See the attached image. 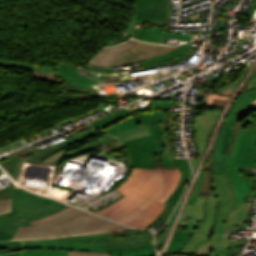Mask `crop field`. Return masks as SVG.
<instances>
[{
    "label": "crop field",
    "instance_id": "obj_1",
    "mask_svg": "<svg viewBox=\"0 0 256 256\" xmlns=\"http://www.w3.org/2000/svg\"><path fill=\"white\" fill-rule=\"evenodd\" d=\"M128 229L104 219L73 209L47 222L18 229L13 240H37Z\"/></svg>",
    "mask_w": 256,
    "mask_h": 256
},
{
    "label": "crop field",
    "instance_id": "obj_2",
    "mask_svg": "<svg viewBox=\"0 0 256 256\" xmlns=\"http://www.w3.org/2000/svg\"><path fill=\"white\" fill-rule=\"evenodd\" d=\"M165 175V169L148 170L134 168L124 184L115 189L126 197L114 202L97 214L115 221L125 217L155 193Z\"/></svg>",
    "mask_w": 256,
    "mask_h": 256
},
{
    "label": "crop field",
    "instance_id": "obj_3",
    "mask_svg": "<svg viewBox=\"0 0 256 256\" xmlns=\"http://www.w3.org/2000/svg\"><path fill=\"white\" fill-rule=\"evenodd\" d=\"M237 135L232 154L224 160L221 166L235 201L232 207L234 210H237L240 203L244 202L253 183L240 178L239 166L256 168V128L251 131L238 130Z\"/></svg>",
    "mask_w": 256,
    "mask_h": 256
},
{
    "label": "crop field",
    "instance_id": "obj_4",
    "mask_svg": "<svg viewBox=\"0 0 256 256\" xmlns=\"http://www.w3.org/2000/svg\"><path fill=\"white\" fill-rule=\"evenodd\" d=\"M179 46H162L130 40L120 45L102 49L90 62L92 66H118L170 52Z\"/></svg>",
    "mask_w": 256,
    "mask_h": 256
},
{
    "label": "crop field",
    "instance_id": "obj_5",
    "mask_svg": "<svg viewBox=\"0 0 256 256\" xmlns=\"http://www.w3.org/2000/svg\"><path fill=\"white\" fill-rule=\"evenodd\" d=\"M60 202L31 194L23 189L13 190L11 214L0 215V231L15 234L18 228L29 226L21 217L31 215L58 205Z\"/></svg>",
    "mask_w": 256,
    "mask_h": 256
},
{
    "label": "crop field",
    "instance_id": "obj_6",
    "mask_svg": "<svg viewBox=\"0 0 256 256\" xmlns=\"http://www.w3.org/2000/svg\"><path fill=\"white\" fill-rule=\"evenodd\" d=\"M23 249L83 250L109 253L108 233L57 238L38 241H24Z\"/></svg>",
    "mask_w": 256,
    "mask_h": 256
},
{
    "label": "crop field",
    "instance_id": "obj_7",
    "mask_svg": "<svg viewBox=\"0 0 256 256\" xmlns=\"http://www.w3.org/2000/svg\"><path fill=\"white\" fill-rule=\"evenodd\" d=\"M148 126L152 136L123 144L124 146L127 145L129 150L131 167L154 169V153L164 152L160 124Z\"/></svg>",
    "mask_w": 256,
    "mask_h": 256
},
{
    "label": "crop field",
    "instance_id": "obj_8",
    "mask_svg": "<svg viewBox=\"0 0 256 256\" xmlns=\"http://www.w3.org/2000/svg\"><path fill=\"white\" fill-rule=\"evenodd\" d=\"M175 176V170H167V175L157 192L142 206L135 209L127 217L119 220L118 222L144 228L158 215H160L165 207L164 204L157 203V201L166 193L173 183Z\"/></svg>",
    "mask_w": 256,
    "mask_h": 256
},
{
    "label": "crop field",
    "instance_id": "obj_9",
    "mask_svg": "<svg viewBox=\"0 0 256 256\" xmlns=\"http://www.w3.org/2000/svg\"><path fill=\"white\" fill-rule=\"evenodd\" d=\"M216 204L217 201L213 195L207 197L203 207L204 220L200 223L199 228L192 234L189 241L186 242L179 253L209 255V236L212 230Z\"/></svg>",
    "mask_w": 256,
    "mask_h": 256
},
{
    "label": "crop field",
    "instance_id": "obj_10",
    "mask_svg": "<svg viewBox=\"0 0 256 256\" xmlns=\"http://www.w3.org/2000/svg\"><path fill=\"white\" fill-rule=\"evenodd\" d=\"M169 105V100H153L151 107L152 113L142 114L131 119H127L106 131L117 136L121 133H125L127 131L142 127L147 124L168 121L165 113H159V110H164L163 107Z\"/></svg>",
    "mask_w": 256,
    "mask_h": 256
},
{
    "label": "crop field",
    "instance_id": "obj_11",
    "mask_svg": "<svg viewBox=\"0 0 256 256\" xmlns=\"http://www.w3.org/2000/svg\"><path fill=\"white\" fill-rule=\"evenodd\" d=\"M136 3L134 20L149 21L154 19L166 24L168 0H132Z\"/></svg>",
    "mask_w": 256,
    "mask_h": 256
},
{
    "label": "crop field",
    "instance_id": "obj_12",
    "mask_svg": "<svg viewBox=\"0 0 256 256\" xmlns=\"http://www.w3.org/2000/svg\"><path fill=\"white\" fill-rule=\"evenodd\" d=\"M233 107L234 105L232 106L231 111ZM231 111L228 117L225 119L224 125L216 142L213 162V174H223L220 168L221 163L231 153L233 149V146L228 147V142H231L234 139V137L230 134L233 133L232 125L236 123V121L228 119Z\"/></svg>",
    "mask_w": 256,
    "mask_h": 256
},
{
    "label": "crop field",
    "instance_id": "obj_13",
    "mask_svg": "<svg viewBox=\"0 0 256 256\" xmlns=\"http://www.w3.org/2000/svg\"><path fill=\"white\" fill-rule=\"evenodd\" d=\"M221 111H208L207 117L197 116L196 122V137L199 147L200 158L202 156L203 150L205 149L206 143L205 139L213 124H216ZM207 140V139H206ZM200 159L191 160L193 171L195 172Z\"/></svg>",
    "mask_w": 256,
    "mask_h": 256
},
{
    "label": "crop field",
    "instance_id": "obj_14",
    "mask_svg": "<svg viewBox=\"0 0 256 256\" xmlns=\"http://www.w3.org/2000/svg\"><path fill=\"white\" fill-rule=\"evenodd\" d=\"M204 179V167L200 173V176L196 182L194 191L187 202V205L183 211L184 216L192 217L195 221L203 220L202 206L204 204V198H198Z\"/></svg>",
    "mask_w": 256,
    "mask_h": 256
},
{
    "label": "crop field",
    "instance_id": "obj_15",
    "mask_svg": "<svg viewBox=\"0 0 256 256\" xmlns=\"http://www.w3.org/2000/svg\"><path fill=\"white\" fill-rule=\"evenodd\" d=\"M162 37L191 41V35L172 34L143 28L140 29L134 38L140 41L159 43Z\"/></svg>",
    "mask_w": 256,
    "mask_h": 256
},
{
    "label": "crop field",
    "instance_id": "obj_16",
    "mask_svg": "<svg viewBox=\"0 0 256 256\" xmlns=\"http://www.w3.org/2000/svg\"><path fill=\"white\" fill-rule=\"evenodd\" d=\"M151 107V102L148 106H145V107H138L134 110H131V111H126L125 108L119 110V111H116L114 113H111L109 115H106L102 118H99V119H96V120H92L91 122H89L93 127L97 128V129H101L127 115H130V114H133L135 112H139V111H142V110H148L150 109Z\"/></svg>",
    "mask_w": 256,
    "mask_h": 256
},
{
    "label": "crop field",
    "instance_id": "obj_17",
    "mask_svg": "<svg viewBox=\"0 0 256 256\" xmlns=\"http://www.w3.org/2000/svg\"><path fill=\"white\" fill-rule=\"evenodd\" d=\"M100 132H102V131H97V132L88 134V135H86V136H84L82 138H74V139H72L70 141H66V142L60 143V144H58V145H56V146H54V147H52V148H50V149H48L46 151H44V152L34 156V157H31V158H29L27 160L31 161V162L40 163L41 161L45 160L46 158H48L52 154H54V153H56V152H58V151H60V150H62L64 148H66V147H68V146H70L72 144H75V143H77V142H79V141H81V140H83V139H85L87 137H90V136H93L95 134H98Z\"/></svg>",
    "mask_w": 256,
    "mask_h": 256
},
{
    "label": "crop field",
    "instance_id": "obj_18",
    "mask_svg": "<svg viewBox=\"0 0 256 256\" xmlns=\"http://www.w3.org/2000/svg\"><path fill=\"white\" fill-rule=\"evenodd\" d=\"M111 256H153L154 252L151 247H131V248H110Z\"/></svg>",
    "mask_w": 256,
    "mask_h": 256
},
{
    "label": "crop field",
    "instance_id": "obj_19",
    "mask_svg": "<svg viewBox=\"0 0 256 256\" xmlns=\"http://www.w3.org/2000/svg\"><path fill=\"white\" fill-rule=\"evenodd\" d=\"M192 233L176 229L166 252L178 253Z\"/></svg>",
    "mask_w": 256,
    "mask_h": 256
},
{
    "label": "crop field",
    "instance_id": "obj_20",
    "mask_svg": "<svg viewBox=\"0 0 256 256\" xmlns=\"http://www.w3.org/2000/svg\"><path fill=\"white\" fill-rule=\"evenodd\" d=\"M252 103H256V90L242 93V95L235 101V104L242 106L250 112L254 110V106L251 105Z\"/></svg>",
    "mask_w": 256,
    "mask_h": 256
},
{
    "label": "crop field",
    "instance_id": "obj_21",
    "mask_svg": "<svg viewBox=\"0 0 256 256\" xmlns=\"http://www.w3.org/2000/svg\"><path fill=\"white\" fill-rule=\"evenodd\" d=\"M146 136H150L148 126L139 128V129L131 131V132H127L125 134L118 136L117 138H119L122 141V143H124V142L130 141V140H133L135 138H142V137H146Z\"/></svg>",
    "mask_w": 256,
    "mask_h": 256
},
{
    "label": "crop field",
    "instance_id": "obj_22",
    "mask_svg": "<svg viewBox=\"0 0 256 256\" xmlns=\"http://www.w3.org/2000/svg\"><path fill=\"white\" fill-rule=\"evenodd\" d=\"M9 65L19 67V68H23V69H28V70H35V71L54 72V70H55V68H45V67L20 63V62L0 61V66L1 67L8 68Z\"/></svg>",
    "mask_w": 256,
    "mask_h": 256
},
{
    "label": "crop field",
    "instance_id": "obj_23",
    "mask_svg": "<svg viewBox=\"0 0 256 256\" xmlns=\"http://www.w3.org/2000/svg\"><path fill=\"white\" fill-rule=\"evenodd\" d=\"M112 138H114V137L112 135H110V136H107V137H105V138H103L101 140L95 141V142H93V143H91L89 145H86V146H84V147H82V148H80V149H78L76 151H72V152L68 153L67 155H65V156H63V157H61V158L51 162L50 164H58V163H60V162H62L64 160H66L67 158L75 155V154L83 152V151H85V150H87L89 148H93V147H95V146H97L99 144H102V143H104V142H106V141H108V140H110Z\"/></svg>",
    "mask_w": 256,
    "mask_h": 256
},
{
    "label": "crop field",
    "instance_id": "obj_24",
    "mask_svg": "<svg viewBox=\"0 0 256 256\" xmlns=\"http://www.w3.org/2000/svg\"><path fill=\"white\" fill-rule=\"evenodd\" d=\"M187 183L188 181L181 180L176 190L167 198V200L165 201V204L176 206L179 198L182 196V194L185 191Z\"/></svg>",
    "mask_w": 256,
    "mask_h": 256
},
{
    "label": "crop field",
    "instance_id": "obj_25",
    "mask_svg": "<svg viewBox=\"0 0 256 256\" xmlns=\"http://www.w3.org/2000/svg\"><path fill=\"white\" fill-rule=\"evenodd\" d=\"M150 239H141V240H129L122 242H110V247H131V246H142L151 244Z\"/></svg>",
    "mask_w": 256,
    "mask_h": 256
},
{
    "label": "crop field",
    "instance_id": "obj_26",
    "mask_svg": "<svg viewBox=\"0 0 256 256\" xmlns=\"http://www.w3.org/2000/svg\"><path fill=\"white\" fill-rule=\"evenodd\" d=\"M67 207L68 206H66V205L61 203L60 205H58L55 208H52V209H49V210H46V211H43V212L31 215V216H28V217H24V219L26 221L30 222V221H33V220H37V219L43 218V217L48 216L50 214H53L55 212L61 211V210L65 209V208H67Z\"/></svg>",
    "mask_w": 256,
    "mask_h": 256
},
{
    "label": "crop field",
    "instance_id": "obj_27",
    "mask_svg": "<svg viewBox=\"0 0 256 256\" xmlns=\"http://www.w3.org/2000/svg\"><path fill=\"white\" fill-rule=\"evenodd\" d=\"M176 167L181 169V179L189 180L191 177V170L186 159L174 160Z\"/></svg>",
    "mask_w": 256,
    "mask_h": 256
},
{
    "label": "crop field",
    "instance_id": "obj_28",
    "mask_svg": "<svg viewBox=\"0 0 256 256\" xmlns=\"http://www.w3.org/2000/svg\"><path fill=\"white\" fill-rule=\"evenodd\" d=\"M245 241L212 240L213 249H226L228 245L244 246Z\"/></svg>",
    "mask_w": 256,
    "mask_h": 256
},
{
    "label": "crop field",
    "instance_id": "obj_29",
    "mask_svg": "<svg viewBox=\"0 0 256 256\" xmlns=\"http://www.w3.org/2000/svg\"><path fill=\"white\" fill-rule=\"evenodd\" d=\"M250 112L246 111L245 109H243L242 107L235 105L233 112L230 116V118L236 120V121H240L242 120L244 117H246L247 115H249Z\"/></svg>",
    "mask_w": 256,
    "mask_h": 256
},
{
    "label": "crop field",
    "instance_id": "obj_30",
    "mask_svg": "<svg viewBox=\"0 0 256 256\" xmlns=\"http://www.w3.org/2000/svg\"><path fill=\"white\" fill-rule=\"evenodd\" d=\"M19 159H20L19 157L12 158V159L0 162V164L3 167H5L7 170H9L14 176Z\"/></svg>",
    "mask_w": 256,
    "mask_h": 256
},
{
    "label": "crop field",
    "instance_id": "obj_31",
    "mask_svg": "<svg viewBox=\"0 0 256 256\" xmlns=\"http://www.w3.org/2000/svg\"><path fill=\"white\" fill-rule=\"evenodd\" d=\"M175 170H176L175 181L172 184L171 188L168 190V192L159 200V202L164 203L166 198L174 191L175 187L177 186V184H178V182L180 180V170L179 169H175Z\"/></svg>",
    "mask_w": 256,
    "mask_h": 256
},
{
    "label": "crop field",
    "instance_id": "obj_32",
    "mask_svg": "<svg viewBox=\"0 0 256 256\" xmlns=\"http://www.w3.org/2000/svg\"><path fill=\"white\" fill-rule=\"evenodd\" d=\"M68 256H109V254L91 253L83 251H68Z\"/></svg>",
    "mask_w": 256,
    "mask_h": 256
},
{
    "label": "crop field",
    "instance_id": "obj_33",
    "mask_svg": "<svg viewBox=\"0 0 256 256\" xmlns=\"http://www.w3.org/2000/svg\"><path fill=\"white\" fill-rule=\"evenodd\" d=\"M12 208V199L0 200V214L10 212Z\"/></svg>",
    "mask_w": 256,
    "mask_h": 256
},
{
    "label": "crop field",
    "instance_id": "obj_34",
    "mask_svg": "<svg viewBox=\"0 0 256 256\" xmlns=\"http://www.w3.org/2000/svg\"><path fill=\"white\" fill-rule=\"evenodd\" d=\"M71 209H73V207H69V208H67V209H65V210H63V211H61V212H58V213H56V214L50 215V216H48V217H45V218L40 219V220H37V221L30 222V223H31L32 225H34V224H38V223L47 221V220H49V219H51V218H54V217H56V216H58V215H60V214L65 213V212H67V211H69V210H71Z\"/></svg>",
    "mask_w": 256,
    "mask_h": 256
},
{
    "label": "crop field",
    "instance_id": "obj_35",
    "mask_svg": "<svg viewBox=\"0 0 256 256\" xmlns=\"http://www.w3.org/2000/svg\"><path fill=\"white\" fill-rule=\"evenodd\" d=\"M69 149H71V147H68V148H66V149H64V150H62V151L52 155L51 157H49L48 159H46L45 161H43L41 163L48 164L49 162H51V161H53V160H55V159L65 155V154H67L65 151H67Z\"/></svg>",
    "mask_w": 256,
    "mask_h": 256
},
{
    "label": "crop field",
    "instance_id": "obj_36",
    "mask_svg": "<svg viewBox=\"0 0 256 256\" xmlns=\"http://www.w3.org/2000/svg\"><path fill=\"white\" fill-rule=\"evenodd\" d=\"M21 246V241L0 242V248H12Z\"/></svg>",
    "mask_w": 256,
    "mask_h": 256
},
{
    "label": "crop field",
    "instance_id": "obj_37",
    "mask_svg": "<svg viewBox=\"0 0 256 256\" xmlns=\"http://www.w3.org/2000/svg\"><path fill=\"white\" fill-rule=\"evenodd\" d=\"M162 157H163V161H164L166 169L176 168L174 165V162H173V160H171L169 154H162Z\"/></svg>",
    "mask_w": 256,
    "mask_h": 256
},
{
    "label": "crop field",
    "instance_id": "obj_38",
    "mask_svg": "<svg viewBox=\"0 0 256 256\" xmlns=\"http://www.w3.org/2000/svg\"><path fill=\"white\" fill-rule=\"evenodd\" d=\"M11 189H13V187L0 190V198L1 199L11 198Z\"/></svg>",
    "mask_w": 256,
    "mask_h": 256
},
{
    "label": "crop field",
    "instance_id": "obj_39",
    "mask_svg": "<svg viewBox=\"0 0 256 256\" xmlns=\"http://www.w3.org/2000/svg\"><path fill=\"white\" fill-rule=\"evenodd\" d=\"M170 226L168 227V229L160 236L156 239V245L160 244V243H163L169 233V230H170Z\"/></svg>",
    "mask_w": 256,
    "mask_h": 256
},
{
    "label": "crop field",
    "instance_id": "obj_40",
    "mask_svg": "<svg viewBox=\"0 0 256 256\" xmlns=\"http://www.w3.org/2000/svg\"><path fill=\"white\" fill-rule=\"evenodd\" d=\"M12 237H13L12 234L0 232V240H9V239H12Z\"/></svg>",
    "mask_w": 256,
    "mask_h": 256
},
{
    "label": "crop field",
    "instance_id": "obj_41",
    "mask_svg": "<svg viewBox=\"0 0 256 256\" xmlns=\"http://www.w3.org/2000/svg\"><path fill=\"white\" fill-rule=\"evenodd\" d=\"M173 207H171V209L169 210V212L167 213V215L165 216V218L163 219V221L160 223V225L164 226V224L167 222L168 218L170 217L172 211H173Z\"/></svg>",
    "mask_w": 256,
    "mask_h": 256
},
{
    "label": "crop field",
    "instance_id": "obj_42",
    "mask_svg": "<svg viewBox=\"0 0 256 256\" xmlns=\"http://www.w3.org/2000/svg\"><path fill=\"white\" fill-rule=\"evenodd\" d=\"M22 162L23 161H20L19 164H18V167H17V172H16V175H15V179L17 180L18 177H19V173H20V169H21V166H22Z\"/></svg>",
    "mask_w": 256,
    "mask_h": 256
},
{
    "label": "crop field",
    "instance_id": "obj_43",
    "mask_svg": "<svg viewBox=\"0 0 256 256\" xmlns=\"http://www.w3.org/2000/svg\"><path fill=\"white\" fill-rule=\"evenodd\" d=\"M20 253H21V251L8 253V254H0V256H20Z\"/></svg>",
    "mask_w": 256,
    "mask_h": 256
},
{
    "label": "crop field",
    "instance_id": "obj_44",
    "mask_svg": "<svg viewBox=\"0 0 256 256\" xmlns=\"http://www.w3.org/2000/svg\"><path fill=\"white\" fill-rule=\"evenodd\" d=\"M24 144H26V143H24ZM17 145H22V143L19 142V143L14 144V145H12V146H10V147H7V148H5V149H3V150H8V149H10V148H12V147H14V146H17ZM3 150H0V152L3 151Z\"/></svg>",
    "mask_w": 256,
    "mask_h": 256
},
{
    "label": "crop field",
    "instance_id": "obj_45",
    "mask_svg": "<svg viewBox=\"0 0 256 256\" xmlns=\"http://www.w3.org/2000/svg\"><path fill=\"white\" fill-rule=\"evenodd\" d=\"M255 10H256V6H254V7H252L250 9V16H251V18L253 17V14H254Z\"/></svg>",
    "mask_w": 256,
    "mask_h": 256
},
{
    "label": "crop field",
    "instance_id": "obj_46",
    "mask_svg": "<svg viewBox=\"0 0 256 256\" xmlns=\"http://www.w3.org/2000/svg\"><path fill=\"white\" fill-rule=\"evenodd\" d=\"M244 179H246V178H244ZM248 180H250V179H248ZM252 181H254V180H252ZM256 182V181H255Z\"/></svg>",
    "mask_w": 256,
    "mask_h": 256
},
{
    "label": "crop field",
    "instance_id": "obj_47",
    "mask_svg": "<svg viewBox=\"0 0 256 256\" xmlns=\"http://www.w3.org/2000/svg\"><path fill=\"white\" fill-rule=\"evenodd\" d=\"M1 171V170H0Z\"/></svg>",
    "mask_w": 256,
    "mask_h": 256
}]
</instances>
